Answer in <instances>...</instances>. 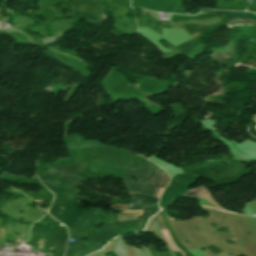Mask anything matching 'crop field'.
I'll use <instances>...</instances> for the list:
<instances>
[{
	"mask_svg": "<svg viewBox=\"0 0 256 256\" xmlns=\"http://www.w3.org/2000/svg\"><path fill=\"white\" fill-rule=\"evenodd\" d=\"M160 171V168L153 166L151 162L148 161L147 163L139 166L137 171L125 170L124 182H134L132 180L133 177H137V179L144 180V182L152 184Z\"/></svg>",
	"mask_w": 256,
	"mask_h": 256,
	"instance_id": "1",
	"label": "crop field"
},
{
	"mask_svg": "<svg viewBox=\"0 0 256 256\" xmlns=\"http://www.w3.org/2000/svg\"><path fill=\"white\" fill-rule=\"evenodd\" d=\"M50 169L49 171L46 172H50V173H58V174H62V175H53V174H44V172L39 169L38 170V174H42V175H50V176H58V177H64V178H68L74 181L79 182L80 184H82L81 182V177H78V173H82L84 167L81 166H77V167H73V168H69V169H61V168H51V167H46V169Z\"/></svg>",
	"mask_w": 256,
	"mask_h": 256,
	"instance_id": "2",
	"label": "crop field"
},
{
	"mask_svg": "<svg viewBox=\"0 0 256 256\" xmlns=\"http://www.w3.org/2000/svg\"><path fill=\"white\" fill-rule=\"evenodd\" d=\"M158 198L138 194V193H133L132 196V203L131 208L132 209H140L142 207H148L154 203H157Z\"/></svg>",
	"mask_w": 256,
	"mask_h": 256,
	"instance_id": "3",
	"label": "crop field"
},
{
	"mask_svg": "<svg viewBox=\"0 0 256 256\" xmlns=\"http://www.w3.org/2000/svg\"><path fill=\"white\" fill-rule=\"evenodd\" d=\"M123 212H143L141 211H123ZM142 213H120L118 214V221L135 220Z\"/></svg>",
	"mask_w": 256,
	"mask_h": 256,
	"instance_id": "4",
	"label": "crop field"
},
{
	"mask_svg": "<svg viewBox=\"0 0 256 256\" xmlns=\"http://www.w3.org/2000/svg\"><path fill=\"white\" fill-rule=\"evenodd\" d=\"M38 176H39L41 182H51V183L60 184V182H58V181H53V180H55L54 178H58V177H50V176L44 177V176H40V175H38ZM58 180L59 181H63V182H65V183H67V184H69L71 186H74V187L77 186L76 183H72L69 180H64L62 178H58Z\"/></svg>",
	"mask_w": 256,
	"mask_h": 256,
	"instance_id": "5",
	"label": "crop field"
}]
</instances>
